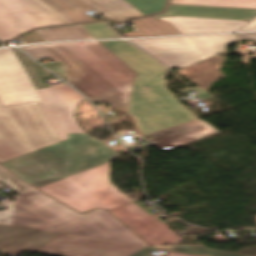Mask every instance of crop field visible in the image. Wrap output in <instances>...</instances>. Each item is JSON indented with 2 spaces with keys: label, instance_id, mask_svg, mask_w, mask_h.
<instances>
[{
  "label": "crop field",
  "instance_id": "730fd06b",
  "mask_svg": "<svg viewBox=\"0 0 256 256\" xmlns=\"http://www.w3.org/2000/svg\"><path fill=\"white\" fill-rule=\"evenodd\" d=\"M82 26L94 39L120 37L117 33H115L111 28L107 26L106 22L83 24Z\"/></svg>",
  "mask_w": 256,
  "mask_h": 256
},
{
  "label": "crop field",
  "instance_id": "d1516ede",
  "mask_svg": "<svg viewBox=\"0 0 256 256\" xmlns=\"http://www.w3.org/2000/svg\"><path fill=\"white\" fill-rule=\"evenodd\" d=\"M150 245L176 244L180 237L133 202L109 210Z\"/></svg>",
  "mask_w": 256,
  "mask_h": 256
},
{
  "label": "crop field",
  "instance_id": "5142ce71",
  "mask_svg": "<svg viewBox=\"0 0 256 256\" xmlns=\"http://www.w3.org/2000/svg\"><path fill=\"white\" fill-rule=\"evenodd\" d=\"M189 16L249 21L256 17V9L168 4L165 12L154 18Z\"/></svg>",
  "mask_w": 256,
  "mask_h": 256
},
{
  "label": "crop field",
  "instance_id": "d32e631a",
  "mask_svg": "<svg viewBox=\"0 0 256 256\" xmlns=\"http://www.w3.org/2000/svg\"><path fill=\"white\" fill-rule=\"evenodd\" d=\"M152 247L168 250L172 246H152Z\"/></svg>",
  "mask_w": 256,
  "mask_h": 256
},
{
  "label": "crop field",
  "instance_id": "733c2abd",
  "mask_svg": "<svg viewBox=\"0 0 256 256\" xmlns=\"http://www.w3.org/2000/svg\"><path fill=\"white\" fill-rule=\"evenodd\" d=\"M9 209L0 212V223L41 230L53 225L38 215L7 200L1 202Z\"/></svg>",
  "mask_w": 256,
  "mask_h": 256
},
{
  "label": "crop field",
  "instance_id": "ae1a2a85",
  "mask_svg": "<svg viewBox=\"0 0 256 256\" xmlns=\"http://www.w3.org/2000/svg\"><path fill=\"white\" fill-rule=\"evenodd\" d=\"M239 40H253L256 42V33L249 34H238ZM246 58L256 57V53H253L254 56H247V53H244Z\"/></svg>",
  "mask_w": 256,
  "mask_h": 256
},
{
  "label": "crop field",
  "instance_id": "1d83c4d3",
  "mask_svg": "<svg viewBox=\"0 0 256 256\" xmlns=\"http://www.w3.org/2000/svg\"><path fill=\"white\" fill-rule=\"evenodd\" d=\"M142 250L150 253V252H153V251H157L159 249H155V248H151V247L147 246V247L143 248Z\"/></svg>",
  "mask_w": 256,
  "mask_h": 256
},
{
  "label": "crop field",
  "instance_id": "dafd665d",
  "mask_svg": "<svg viewBox=\"0 0 256 256\" xmlns=\"http://www.w3.org/2000/svg\"><path fill=\"white\" fill-rule=\"evenodd\" d=\"M64 65L50 68L65 81L89 78L90 76L74 61H64Z\"/></svg>",
  "mask_w": 256,
  "mask_h": 256
},
{
  "label": "crop field",
  "instance_id": "3316defc",
  "mask_svg": "<svg viewBox=\"0 0 256 256\" xmlns=\"http://www.w3.org/2000/svg\"><path fill=\"white\" fill-rule=\"evenodd\" d=\"M141 248L143 247L62 234L37 253L53 256H130Z\"/></svg>",
  "mask_w": 256,
  "mask_h": 256
},
{
  "label": "crop field",
  "instance_id": "cbeb9de0",
  "mask_svg": "<svg viewBox=\"0 0 256 256\" xmlns=\"http://www.w3.org/2000/svg\"><path fill=\"white\" fill-rule=\"evenodd\" d=\"M217 132L219 131L211 125L202 120H196L150 134L152 139L147 140V142L161 149H170L191 143Z\"/></svg>",
  "mask_w": 256,
  "mask_h": 256
},
{
  "label": "crop field",
  "instance_id": "28ad6ade",
  "mask_svg": "<svg viewBox=\"0 0 256 256\" xmlns=\"http://www.w3.org/2000/svg\"><path fill=\"white\" fill-rule=\"evenodd\" d=\"M41 100L12 49L0 50V102L2 106Z\"/></svg>",
  "mask_w": 256,
  "mask_h": 256
},
{
  "label": "crop field",
  "instance_id": "4177f3b9",
  "mask_svg": "<svg viewBox=\"0 0 256 256\" xmlns=\"http://www.w3.org/2000/svg\"><path fill=\"white\" fill-rule=\"evenodd\" d=\"M0 181L12 188L17 193H25L34 190L29 185L18 180L13 174H11L4 167L0 166Z\"/></svg>",
  "mask_w": 256,
  "mask_h": 256
},
{
  "label": "crop field",
  "instance_id": "dd49c442",
  "mask_svg": "<svg viewBox=\"0 0 256 256\" xmlns=\"http://www.w3.org/2000/svg\"><path fill=\"white\" fill-rule=\"evenodd\" d=\"M108 163L39 188L79 212L95 207L112 209L131 202L110 184Z\"/></svg>",
  "mask_w": 256,
  "mask_h": 256
},
{
  "label": "crop field",
  "instance_id": "214f88e0",
  "mask_svg": "<svg viewBox=\"0 0 256 256\" xmlns=\"http://www.w3.org/2000/svg\"><path fill=\"white\" fill-rule=\"evenodd\" d=\"M74 23L91 21L85 13L92 10L81 0H44Z\"/></svg>",
  "mask_w": 256,
  "mask_h": 256
},
{
  "label": "crop field",
  "instance_id": "d3111659",
  "mask_svg": "<svg viewBox=\"0 0 256 256\" xmlns=\"http://www.w3.org/2000/svg\"><path fill=\"white\" fill-rule=\"evenodd\" d=\"M60 179H63V178H60ZM60 179H54V180H48V181H42V182H36V183H29V184L39 188L41 186L47 185L49 183L55 182V181L60 180Z\"/></svg>",
  "mask_w": 256,
  "mask_h": 256
},
{
  "label": "crop field",
  "instance_id": "412701ff",
  "mask_svg": "<svg viewBox=\"0 0 256 256\" xmlns=\"http://www.w3.org/2000/svg\"><path fill=\"white\" fill-rule=\"evenodd\" d=\"M14 198L15 203L55 224L43 231L147 245L104 210L78 214L36 190Z\"/></svg>",
  "mask_w": 256,
  "mask_h": 256
},
{
  "label": "crop field",
  "instance_id": "34b2d1b8",
  "mask_svg": "<svg viewBox=\"0 0 256 256\" xmlns=\"http://www.w3.org/2000/svg\"><path fill=\"white\" fill-rule=\"evenodd\" d=\"M119 155L88 134L68 139L1 163L25 182L70 175ZM17 176V177H18Z\"/></svg>",
  "mask_w": 256,
  "mask_h": 256
},
{
  "label": "crop field",
  "instance_id": "a9b5d70f",
  "mask_svg": "<svg viewBox=\"0 0 256 256\" xmlns=\"http://www.w3.org/2000/svg\"><path fill=\"white\" fill-rule=\"evenodd\" d=\"M145 16L163 12L167 0H124Z\"/></svg>",
  "mask_w": 256,
  "mask_h": 256
},
{
  "label": "crop field",
  "instance_id": "92a150f3",
  "mask_svg": "<svg viewBox=\"0 0 256 256\" xmlns=\"http://www.w3.org/2000/svg\"><path fill=\"white\" fill-rule=\"evenodd\" d=\"M36 32L45 41L93 39L81 25L39 29Z\"/></svg>",
  "mask_w": 256,
  "mask_h": 256
},
{
  "label": "crop field",
  "instance_id": "22f410ed",
  "mask_svg": "<svg viewBox=\"0 0 256 256\" xmlns=\"http://www.w3.org/2000/svg\"><path fill=\"white\" fill-rule=\"evenodd\" d=\"M58 235L0 224V250L14 256L25 251L35 252Z\"/></svg>",
  "mask_w": 256,
  "mask_h": 256
},
{
  "label": "crop field",
  "instance_id": "f4fd0767",
  "mask_svg": "<svg viewBox=\"0 0 256 256\" xmlns=\"http://www.w3.org/2000/svg\"><path fill=\"white\" fill-rule=\"evenodd\" d=\"M58 142L36 102L0 104V163Z\"/></svg>",
  "mask_w": 256,
  "mask_h": 256
},
{
  "label": "crop field",
  "instance_id": "d8731c3e",
  "mask_svg": "<svg viewBox=\"0 0 256 256\" xmlns=\"http://www.w3.org/2000/svg\"><path fill=\"white\" fill-rule=\"evenodd\" d=\"M171 69L182 68L225 51L234 34L130 40Z\"/></svg>",
  "mask_w": 256,
  "mask_h": 256
},
{
  "label": "crop field",
  "instance_id": "eef30255",
  "mask_svg": "<svg viewBox=\"0 0 256 256\" xmlns=\"http://www.w3.org/2000/svg\"><path fill=\"white\" fill-rule=\"evenodd\" d=\"M171 251L184 252L189 254L208 255V256H245V255H237L232 253L207 250L205 246H176Z\"/></svg>",
  "mask_w": 256,
  "mask_h": 256
},
{
  "label": "crop field",
  "instance_id": "ac0d7876",
  "mask_svg": "<svg viewBox=\"0 0 256 256\" xmlns=\"http://www.w3.org/2000/svg\"><path fill=\"white\" fill-rule=\"evenodd\" d=\"M35 60L76 61L92 78L69 82L90 100L126 107L135 73L98 42L20 47Z\"/></svg>",
  "mask_w": 256,
  "mask_h": 256
},
{
  "label": "crop field",
  "instance_id": "4a817a6b",
  "mask_svg": "<svg viewBox=\"0 0 256 256\" xmlns=\"http://www.w3.org/2000/svg\"><path fill=\"white\" fill-rule=\"evenodd\" d=\"M89 6L113 21H123L142 16L123 0H83Z\"/></svg>",
  "mask_w": 256,
  "mask_h": 256
},
{
  "label": "crop field",
  "instance_id": "750c4746",
  "mask_svg": "<svg viewBox=\"0 0 256 256\" xmlns=\"http://www.w3.org/2000/svg\"><path fill=\"white\" fill-rule=\"evenodd\" d=\"M256 30V19L240 31Z\"/></svg>",
  "mask_w": 256,
  "mask_h": 256
},
{
  "label": "crop field",
  "instance_id": "00972430",
  "mask_svg": "<svg viewBox=\"0 0 256 256\" xmlns=\"http://www.w3.org/2000/svg\"><path fill=\"white\" fill-rule=\"evenodd\" d=\"M169 3L256 8V0H170Z\"/></svg>",
  "mask_w": 256,
  "mask_h": 256
},
{
  "label": "crop field",
  "instance_id": "120bbe31",
  "mask_svg": "<svg viewBox=\"0 0 256 256\" xmlns=\"http://www.w3.org/2000/svg\"><path fill=\"white\" fill-rule=\"evenodd\" d=\"M167 256H192V255H183V254L169 252Z\"/></svg>",
  "mask_w": 256,
  "mask_h": 256
},
{
  "label": "crop field",
  "instance_id": "8a807250",
  "mask_svg": "<svg viewBox=\"0 0 256 256\" xmlns=\"http://www.w3.org/2000/svg\"><path fill=\"white\" fill-rule=\"evenodd\" d=\"M99 43L136 73L126 113L142 135L197 119L166 89V67L126 41Z\"/></svg>",
  "mask_w": 256,
  "mask_h": 256
},
{
  "label": "crop field",
  "instance_id": "bc2a9ffb",
  "mask_svg": "<svg viewBox=\"0 0 256 256\" xmlns=\"http://www.w3.org/2000/svg\"><path fill=\"white\" fill-rule=\"evenodd\" d=\"M134 26H130L134 32L125 33L123 36H151L178 34L168 23L156 21L150 17L131 20Z\"/></svg>",
  "mask_w": 256,
  "mask_h": 256
},
{
  "label": "crop field",
  "instance_id": "5a996713",
  "mask_svg": "<svg viewBox=\"0 0 256 256\" xmlns=\"http://www.w3.org/2000/svg\"><path fill=\"white\" fill-rule=\"evenodd\" d=\"M69 23V20L41 0H0L1 41L33 28Z\"/></svg>",
  "mask_w": 256,
  "mask_h": 256
},
{
  "label": "crop field",
  "instance_id": "d9b57169",
  "mask_svg": "<svg viewBox=\"0 0 256 256\" xmlns=\"http://www.w3.org/2000/svg\"><path fill=\"white\" fill-rule=\"evenodd\" d=\"M159 20L169 21L181 34L237 31L244 23H246L242 21L189 17H174Z\"/></svg>",
  "mask_w": 256,
  "mask_h": 256
},
{
  "label": "crop field",
  "instance_id": "bd1437ed",
  "mask_svg": "<svg viewBox=\"0 0 256 256\" xmlns=\"http://www.w3.org/2000/svg\"><path fill=\"white\" fill-rule=\"evenodd\" d=\"M132 256H151V255L140 250L137 253L133 254Z\"/></svg>",
  "mask_w": 256,
  "mask_h": 256
},
{
  "label": "crop field",
  "instance_id": "e52e79f7",
  "mask_svg": "<svg viewBox=\"0 0 256 256\" xmlns=\"http://www.w3.org/2000/svg\"><path fill=\"white\" fill-rule=\"evenodd\" d=\"M13 51L38 90L43 100L38 104L59 141L66 139L67 133H83L75 121L73 112L77 103L85 98L66 84L53 88L46 86L42 79L51 74L16 48Z\"/></svg>",
  "mask_w": 256,
  "mask_h": 256
}]
</instances>
